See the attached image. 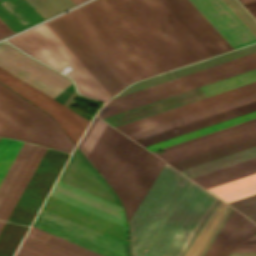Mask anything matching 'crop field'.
Instances as JSON below:
<instances>
[{
    "label": "crop field",
    "instance_id": "obj_1",
    "mask_svg": "<svg viewBox=\"0 0 256 256\" xmlns=\"http://www.w3.org/2000/svg\"><path fill=\"white\" fill-rule=\"evenodd\" d=\"M189 181L165 164L128 221L131 256L142 255ZM215 198L191 181L143 256H178Z\"/></svg>",
    "mask_w": 256,
    "mask_h": 256
},
{
    "label": "crop field",
    "instance_id": "obj_26",
    "mask_svg": "<svg viewBox=\"0 0 256 256\" xmlns=\"http://www.w3.org/2000/svg\"><path fill=\"white\" fill-rule=\"evenodd\" d=\"M27 237L51 246L67 254H70L72 256H102L81 246L73 244L69 241L61 239L57 236L49 234L45 231L37 229L33 226L31 227L30 232H28Z\"/></svg>",
    "mask_w": 256,
    "mask_h": 256
},
{
    "label": "crop field",
    "instance_id": "obj_20",
    "mask_svg": "<svg viewBox=\"0 0 256 256\" xmlns=\"http://www.w3.org/2000/svg\"><path fill=\"white\" fill-rule=\"evenodd\" d=\"M50 196L127 228L123 209L57 181Z\"/></svg>",
    "mask_w": 256,
    "mask_h": 256
},
{
    "label": "crop field",
    "instance_id": "obj_13",
    "mask_svg": "<svg viewBox=\"0 0 256 256\" xmlns=\"http://www.w3.org/2000/svg\"><path fill=\"white\" fill-rule=\"evenodd\" d=\"M33 226L105 256H129L126 245L41 210Z\"/></svg>",
    "mask_w": 256,
    "mask_h": 256
},
{
    "label": "crop field",
    "instance_id": "obj_23",
    "mask_svg": "<svg viewBox=\"0 0 256 256\" xmlns=\"http://www.w3.org/2000/svg\"><path fill=\"white\" fill-rule=\"evenodd\" d=\"M255 51H256V44L246 47V48H243V49H240V50H237V51H234V52H231V53H228V54H225V55H222V56H219V57H216V58H213V59H210V60H207V61H204V62H200V63L194 64V65H191V66H188V67H185V68H182V69H179V70H176V71H173V72H170V73H167V74H164V75H161V76L149 79V80H146V81H143V82H140V83H137V84H134L116 97L131 93V92L140 90L142 88H145V87H148V86H151V85H154V84H157V83H160V82H163V81L175 78V77H179V76H182V75H185V74H188V73H191V72L224 62V61H228V60H231V59H234V58H237V57H240V56H243V55L255 52Z\"/></svg>",
    "mask_w": 256,
    "mask_h": 256
},
{
    "label": "crop field",
    "instance_id": "obj_9",
    "mask_svg": "<svg viewBox=\"0 0 256 256\" xmlns=\"http://www.w3.org/2000/svg\"><path fill=\"white\" fill-rule=\"evenodd\" d=\"M256 68V52L180 77L172 79L180 92L220 80ZM169 81L110 100L98 113L103 118L157 99L179 93Z\"/></svg>",
    "mask_w": 256,
    "mask_h": 256
},
{
    "label": "crop field",
    "instance_id": "obj_30",
    "mask_svg": "<svg viewBox=\"0 0 256 256\" xmlns=\"http://www.w3.org/2000/svg\"><path fill=\"white\" fill-rule=\"evenodd\" d=\"M256 145V137L205 153V154H201L174 164H171L173 167H175L176 169L180 170L198 163H202L244 148H248L251 146Z\"/></svg>",
    "mask_w": 256,
    "mask_h": 256
},
{
    "label": "crop field",
    "instance_id": "obj_38",
    "mask_svg": "<svg viewBox=\"0 0 256 256\" xmlns=\"http://www.w3.org/2000/svg\"><path fill=\"white\" fill-rule=\"evenodd\" d=\"M250 219H256V194L228 202Z\"/></svg>",
    "mask_w": 256,
    "mask_h": 256
},
{
    "label": "crop field",
    "instance_id": "obj_41",
    "mask_svg": "<svg viewBox=\"0 0 256 256\" xmlns=\"http://www.w3.org/2000/svg\"><path fill=\"white\" fill-rule=\"evenodd\" d=\"M12 33V31L6 27L1 21H0V38ZM13 34V33H12Z\"/></svg>",
    "mask_w": 256,
    "mask_h": 256
},
{
    "label": "crop field",
    "instance_id": "obj_50",
    "mask_svg": "<svg viewBox=\"0 0 256 256\" xmlns=\"http://www.w3.org/2000/svg\"><path fill=\"white\" fill-rule=\"evenodd\" d=\"M254 222H256V220H254Z\"/></svg>",
    "mask_w": 256,
    "mask_h": 256
},
{
    "label": "crop field",
    "instance_id": "obj_4",
    "mask_svg": "<svg viewBox=\"0 0 256 256\" xmlns=\"http://www.w3.org/2000/svg\"><path fill=\"white\" fill-rule=\"evenodd\" d=\"M46 24L111 96L141 80L78 8Z\"/></svg>",
    "mask_w": 256,
    "mask_h": 256
},
{
    "label": "crop field",
    "instance_id": "obj_32",
    "mask_svg": "<svg viewBox=\"0 0 256 256\" xmlns=\"http://www.w3.org/2000/svg\"><path fill=\"white\" fill-rule=\"evenodd\" d=\"M44 19L75 6L71 0H26Z\"/></svg>",
    "mask_w": 256,
    "mask_h": 256
},
{
    "label": "crop field",
    "instance_id": "obj_17",
    "mask_svg": "<svg viewBox=\"0 0 256 256\" xmlns=\"http://www.w3.org/2000/svg\"><path fill=\"white\" fill-rule=\"evenodd\" d=\"M197 41L213 56L232 48L189 2V0H161Z\"/></svg>",
    "mask_w": 256,
    "mask_h": 256
},
{
    "label": "crop field",
    "instance_id": "obj_3",
    "mask_svg": "<svg viewBox=\"0 0 256 256\" xmlns=\"http://www.w3.org/2000/svg\"><path fill=\"white\" fill-rule=\"evenodd\" d=\"M106 1L168 70L210 57L160 0Z\"/></svg>",
    "mask_w": 256,
    "mask_h": 256
},
{
    "label": "crop field",
    "instance_id": "obj_34",
    "mask_svg": "<svg viewBox=\"0 0 256 256\" xmlns=\"http://www.w3.org/2000/svg\"><path fill=\"white\" fill-rule=\"evenodd\" d=\"M31 147H32V144H28L24 142L20 150L18 151L15 159L13 160L10 168L8 169L4 179L0 184V202L2 201L5 193L7 192L9 186L11 185L14 177L16 176L18 170L20 169Z\"/></svg>",
    "mask_w": 256,
    "mask_h": 256
},
{
    "label": "crop field",
    "instance_id": "obj_6",
    "mask_svg": "<svg viewBox=\"0 0 256 256\" xmlns=\"http://www.w3.org/2000/svg\"><path fill=\"white\" fill-rule=\"evenodd\" d=\"M256 232V224L216 198L179 256H227Z\"/></svg>",
    "mask_w": 256,
    "mask_h": 256
},
{
    "label": "crop field",
    "instance_id": "obj_35",
    "mask_svg": "<svg viewBox=\"0 0 256 256\" xmlns=\"http://www.w3.org/2000/svg\"><path fill=\"white\" fill-rule=\"evenodd\" d=\"M24 143V142H23ZM22 142L0 138V182L19 150Z\"/></svg>",
    "mask_w": 256,
    "mask_h": 256
},
{
    "label": "crop field",
    "instance_id": "obj_39",
    "mask_svg": "<svg viewBox=\"0 0 256 256\" xmlns=\"http://www.w3.org/2000/svg\"><path fill=\"white\" fill-rule=\"evenodd\" d=\"M232 11L243 21V23L256 36V21L246 12V10L237 2V0H223Z\"/></svg>",
    "mask_w": 256,
    "mask_h": 256
},
{
    "label": "crop field",
    "instance_id": "obj_22",
    "mask_svg": "<svg viewBox=\"0 0 256 256\" xmlns=\"http://www.w3.org/2000/svg\"><path fill=\"white\" fill-rule=\"evenodd\" d=\"M0 19L14 33L44 20L25 0H0Z\"/></svg>",
    "mask_w": 256,
    "mask_h": 256
},
{
    "label": "crop field",
    "instance_id": "obj_16",
    "mask_svg": "<svg viewBox=\"0 0 256 256\" xmlns=\"http://www.w3.org/2000/svg\"><path fill=\"white\" fill-rule=\"evenodd\" d=\"M220 35L235 49L256 37L222 0H190Z\"/></svg>",
    "mask_w": 256,
    "mask_h": 256
},
{
    "label": "crop field",
    "instance_id": "obj_2",
    "mask_svg": "<svg viewBox=\"0 0 256 256\" xmlns=\"http://www.w3.org/2000/svg\"><path fill=\"white\" fill-rule=\"evenodd\" d=\"M77 147L119 196L127 220L165 164L96 117Z\"/></svg>",
    "mask_w": 256,
    "mask_h": 256
},
{
    "label": "crop field",
    "instance_id": "obj_12",
    "mask_svg": "<svg viewBox=\"0 0 256 256\" xmlns=\"http://www.w3.org/2000/svg\"><path fill=\"white\" fill-rule=\"evenodd\" d=\"M253 136H256V118L163 148L165 152L161 154L154 153L171 164Z\"/></svg>",
    "mask_w": 256,
    "mask_h": 256
},
{
    "label": "crop field",
    "instance_id": "obj_25",
    "mask_svg": "<svg viewBox=\"0 0 256 256\" xmlns=\"http://www.w3.org/2000/svg\"><path fill=\"white\" fill-rule=\"evenodd\" d=\"M256 157V146L180 170L190 178Z\"/></svg>",
    "mask_w": 256,
    "mask_h": 256
},
{
    "label": "crop field",
    "instance_id": "obj_44",
    "mask_svg": "<svg viewBox=\"0 0 256 256\" xmlns=\"http://www.w3.org/2000/svg\"><path fill=\"white\" fill-rule=\"evenodd\" d=\"M242 4L254 2L256 0H239Z\"/></svg>",
    "mask_w": 256,
    "mask_h": 256
},
{
    "label": "crop field",
    "instance_id": "obj_27",
    "mask_svg": "<svg viewBox=\"0 0 256 256\" xmlns=\"http://www.w3.org/2000/svg\"><path fill=\"white\" fill-rule=\"evenodd\" d=\"M208 190L226 202L247 196L256 193V174Z\"/></svg>",
    "mask_w": 256,
    "mask_h": 256
},
{
    "label": "crop field",
    "instance_id": "obj_14",
    "mask_svg": "<svg viewBox=\"0 0 256 256\" xmlns=\"http://www.w3.org/2000/svg\"><path fill=\"white\" fill-rule=\"evenodd\" d=\"M0 81L51 114L75 144L90 122L1 68Z\"/></svg>",
    "mask_w": 256,
    "mask_h": 256
},
{
    "label": "crop field",
    "instance_id": "obj_47",
    "mask_svg": "<svg viewBox=\"0 0 256 256\" xmlns=\"http://www.w3.org/2000/svg\"><path fill=\"white\" fill-rule=\"evenodd\" d=\"M76 5L79 4L80 2L84 1V0H72Z\"/></svg>",
    "mask_w": 256,
    "mask_h": 256
},
{
    "label": "crop field",
    "instance_id": "obj_40",
    "mask_svg": "<svg viewBox=\"0 0 256 256\" xmlns=\"http://www.w3.org/2000/svg\"><path fill=\"white\" fill-rule=\"evenodd\" d=\"M256 251V245H239L231 250V252H250Z\"/></svg>",
    "mask_w": 256,
    "mask_h": 256
},
{
    "label": "crop field",
    "instance_id": "obj_42",
    "mask_svg": "<svg viewBox=\"0 0 256 256\" xmlns=\"http://www.w3.org/2000/svg\"><path fill=\"white\" fill-rule=\"evenodd\" d=\"M228 256H256V252H251V253H230Z\"/></svg>",
    "mask_w": 256,
    "mask_h": 256
},
{
    "label": "crop field",
    "instance_id": "obj_48",
    "mask_svg": "<svg viewBox=\"0 0 256 256\" xmlns=\"http://www.w3.org/2000/svg\"><path fill=\"white\" fill-rule=\"evenodd\" d=\"M3 224H4V221H0V230H1L2 226H3Z\"/></svg>",
    "mask_w": 256,
    "mask_h": 256
},
{
    "label": "crop field",
    "instance_id": "obj_49",
    "mask_svg": "<svg viewBox=\"0 0 256 256\" xmlns=\"http://www.w3.org/2000/svg\"><path fill=\"white\" fill-rule=\"evenodd\" d=\"M249 239H256V235H252Z\"/></svg>",
    "mask_w": 256,
    "mask_h": 256
},
{
    "label": "crop field",
    "instance_id": "obj_33",
    "mask_svg": "<svg viewBox=\"0 0 256 256\" xmlns=\"http://www.w3.org/2000/svg\"><path fill=\"white\" fill-rule=\"evenodd\" d=\"M15 256H70L25 237Z\"/></svg>",
    "mask_w": 256,
    "mask_h": 256
},
{
    "label": "crop field",
    "instance_id": "obj_31",
    "mask_svg": "<svg viewBox=\"0 0 256 256\" xmlns=\"http://www.w3.org/2000/svg\"><path fill=\"white\" fill-rule=\"evenodd\" d=\"M27 227L6 222L0 233V256H12Z\"/></svg>",
    "mask_w": 256,
    "mask_h": 256
},
{
    "label": "crop field",
    "instance_id": "obj_19",
    "mask_svg": "<svg viewBox=\"0 0 256 256\" xmlns=\"http://www.w3.org/2000/svg\"><path fill=\"white\" fill-rule=\"evenodd\" d=\"M43 210L127 245L128 231L122 226L114 224L50 196L48 197Z\"/></svg>",
    "mask_w": 256,
    "mask_h": 256
},
{
    "label": "crop field",
    "instance_id": "obj_46",
    "mask_svg": "<svg viewBox=\"0 0 256 256\" xmlns=\"http://www.w3.org/2000/svg\"><path fill=\"white\" fill-rule=\"evenodd\" d=\"M244 242H256V240H246ZM242 244H256V243H242Z\"/></svg>",
    "mask_w": 256,
    "mask_h": 256
},
{
    "label": "crop field",
    "instance_id": "obj_29",
    "mask_svg": "<svg viewBox=\"0 0 256 256\" xmlns=\"http://www.w3.org/2000/svg\"><path fill=\"white\" fill-rule=\"evenodd\" d=\"M254 117H256V111L236 117V118H232V119H229V120H226V121H223V122H220V123L208 126V127H204V128H201V129H198V130H195V131L183 134V135H179V136H176V137H173V138H170V139L158 142V143H154V144H151V145H148L145 147L148 150L152 151V150H155V149H158V148H161L164 146H168V145H171V144H174V143H177V142H180V141L192 138V137H196V136L223 128V127H227V126H230V125H233V124H236V123H239V122H242V121L254 118Z\"/></svg>",
    "mask_w": 256,
    "mask_h": 256
},
{
    "label": "crop field",
    "instance_id": "obj_10",
    "mask_svg": "<svg viewBox=\"0 0 256 256\" xmlns=\"http://www.w3.org/2000/svg\"><path fill=\"white\" fill-rule=\"evenodd\" d=\"M69 154L47 149L8 220L30 225Z\"/></svg>",
    "mask_w": 256,
    "mask_h": 256
},
{
    "label": "crop field",
    "instance_id": "obj_11",
    "mask_svg": "<svg viewBox=\"0 0 256 256\" xmlns=\"http://www.w3.org/2000/svg\"><path fill=\"white\" fill-rule=\"evenodd\" d=\"M0 67L53 99L72 84L70 79L52 71L19 50L1 43Z\"/></svg>",
    "mask_w": 256,
    "mask_h": 256
},
{
    "label": "crop field",
    "instance_id": "obj_36",
    "mask_svg": "<svg viewBox=\"0 0 256 256\" xmlns=\"http://www.w3.org/2000/svg\"><path fill=\"white\" fill-rule=\"evenodd\" d=\"M45 150H46V148L40 147V149H39L37 155L35 156L33 162L31 163V165H30V167H29V169H28V171L26 172L24 178L22 179V181H21L19 187L17 188L15 194L13 195V197H12L10 203L8 204L6 210L4 211V213H3L2 217H1V219L7 220V218H8V216H9L10 212L12 211V209H13L15 203L17 202V200H18L20 194L22 193V191H23L25 185L27 184L29 178L31 177V175H32V173H33V171H34V169L36 168V166H37L39 160L41 159V157H42V155H43V153H44Z\"/></svg>",
    "mask_w": 256,
    "mask_h": 256
},
{
    "label": "crop field",
    "instance_id": "obj_43",
    "mask_svg": "<svg viewBox=\"0 0 256 256\" xmlns=\"http://www.w3.org/2000/svg\"><path fill=\"white\" fill-rule=\"evenodd\" d=\"M254 17H256V7L247 9Z\"/></svg>",
    "mask_w": 256,
    "mask_h": 256
},
{
    "label": "crop field",
    "instance_id": "obj_7",
    "mask_svg": "<svg viewBox=\"0 0 256 256\" xmlns=\"http://www.w3.org/2000/svg\"><path fill=\"white\" fill-rule=\"evenodd\" d=\"M78 8L142 79L167 71L105 0H93Z\"/></svg>",
    "mask_w": 256,
    "mask_h": 256
},
{
    "label": "crop field",
    "instance_id": "obj_37",
    "mask_svg": "<svg viewBox=\"0 0 256 256\" xmlns=\"http://www.w3.org/2000/svg\"><path fill=\"white\" fill-rule=\"evenodd\" d=\"M38 149H39V146L33 145L30 153L28 154V156H27L26 160L24 161L21 169L19 170L17 176L15 177L12 185L10 186L8 192L6 193L3 201L0 204V217H1L2 213H3V211L5 210L8 202L10 201L13 193L15 192L17 186L19 185L22 177L24 176L27 168L29 167V165H30L32 159L34 158V156H35V154H36Z\"/></svg>",
    "mask_w": 256,
    "mask_h": 256
},
{
    "label": "crop field",
    "instance_id": "obj_21",
    "mask_svg": "<svg viewBox=\"0 0 256 256\" xmlns=\"http://www.w3.org/2000/svg\"><path fill=\"white\" fill-rule=\"evenodd\" d=\"M256 110V101L254 102H250L226 111H222L198 120H194L188 123H185L184 125H180L138 140H135L136 142H138L139 144L145 146L154 142H158L179 134H183L204 126H208L232 117H236L251 111ZM175 130L177 132H175Z\"/></svg>",
    "mask_w": 256,
    "mask_h": 256
},
{
    "label": "crop field",
    "instance_id": "obj_15",
    "mask_svg": "<svg viewBox=\"0 0 256 256\" xmlns=\"http://www.w3.org/2000/svg\"><path fill=\"white\" fill-rule=\"evenodd\" d=\"M255 93L256 82H253L116 128L124 134L128 135Z\"/></svg>",
    "mask_w": 256,
    "mask_h": 256
},
{
    "label": "crop field",
    "instance_id": "obj_18",
    "mask_svg": "<svg viewBox=\"0 0 256 256\" xmlns=\"http://www.w3.org/2000/svg\"><path fill=\"white\" fill-rule=\"evenodd\" d=\"M59 181L121 206L111 189L77 149L74 150Z\"/></svg>",
    "mask_w": 256,
    "mask_h": 256
},
{
    "label": "crop field",
    "instance_id": "obj_51",
    "mask_svg": "<svg viewBox=\"0 0 256 256\" xmlns=\"http://www.w3.org/2000/svg\"><path fill=\"white\" fill-rule=\"evenodd\" d=\"M256 234V233H255Z\"/></svg>",
    "mask_w": 256,
    "mask_h": 256
},
{
    "label": "crop field",
    "instance_id": "obj_28",
    "mask_svg": "<svg viewBox=\"0 0 256 256\" xmlns=\"http://www.w3.org/2000/svg\"><path fill=\"white\" fill-rule=\"evenodd\" d=\"M254 100H256V94L246 97V98H243V99H239V100L224 104V105H221V106H218V107H215V108H212V109H209V110H205V111H202V112H199V113H196V114H193V115H190V116L178 119V120H174V121H171V122H168V123H165V124H162V125H159V126H156V127L144 130V131H140V132L128 135V136L131 139L135 140V139H138V138H141V137H144V136H147V135L180 125L182 123H185V122H188V121H191L194 119H198V118H201V117H204V116H207V115H210V114L222 111V110H226V109H229V108H232V107H235V106H238V105L250 102V101H254Z\"/></svg>",
    "mask_w": 256,
    "mask_h": 256
},
{
    "label": "crop field",
    "instance_id": "obj_24",
    "mask_svg": "<svg viewBox=\"0 0 256 256\" xmlns=\"http://www.w3.org/2000/svg\"><path fill=\"white\" fill-rule=\"evenodd\" d=\"M253 173H256V158L192 179L208 189Z\"/></svg>",
    "mask_w": 256,
    "mask_h": 256
},
{
    "label": "crop field",
    "instance_id": "obj_45",
    "mask_svg": "<svg viewBox=\"0 0 256 256\" xmlns=\"http://www.w3.org/2000/svg\"><path fill=\"white\" fill-rule=\"evenodd\" d=\"M244 6H245V8L256 6V2L255 3H250V4H245Z\"/></svg>",
    "mask_w": 256,
    "mask_h": 256
},
{
    "label": "crop field",
    "instance_id": "obj_5",
    "mask_svg": "<svg viewBox=\"0 0 256 256\" xmlns=\"http://www.w3.org/2000/svg\"><path fill=\"white\" fill-rule=\"evenodd\" d=\"M0 136L71 152L72 142L46 114L0 84Z\"/></svg>",
    "mask_w": 256,
    "mask_h": 256
},
{
    "label": "crop field",
    "instance_id": "obj_8",
    "mask_svg": "<svg viewBox=\"0 0 256 256\" xmlns=\"http://www.w3.org/2000/svg\"><path fill=\"white\" fill-rule=\"evenodd\" d=\"M8 40L59 71L66 65L74 68L66 75L73 79L80 93L103 101L111 97L45 24Z\"/></svg>",
    "mask_w": 256,
    "mask_h": 256
}]
</instances>
